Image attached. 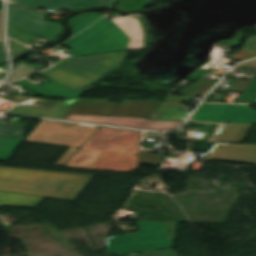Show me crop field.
I'll use <instances>...</instances> for the list:
<instances>
[{
  "mask_svg": "<svg viewBox=\"0 0 256 256\" xmlns=\"http://www.w3.org/2000/svg\"><path fill=\"white\" fill-rule=\"evenodd\" d=\"M102 15H104V13L94 12V13H86V14L77 15V16L69 19L67 22H68L70 29L72 30L71 36H74L81 30H83L84 28L88 27L90 24H92L94 21H96Z\"/></svg>",
  "mask_w": 256,
  "mask_h": 256,
  "instance_id": "d9b57169",
  "label": "crop field"
},
{
  "mask_svg": "<svg viewBox=\"0 0 256 256\" xmlns=\"http://www.w3.org/2000/svg\"><path fill=\"white\" fill-rule=\"evenodd\" d=\"M252 125L222 124L213 142L241 143Z\"/></svg>",
  "mask_w": 256,
  "mask_h": 256,
  "instance_id": "22f410ed",
  "label": "crop field"
},
{
  "mask_svg": "<svg viewBox=\"0 0 256 256\" xmlns=\"http://www.w3.org/2000/svg\"><path fill=\"white\" fill-rule=\"evenodd\" d=\"M92 175L0 167V191L75 201Z\"/></svg>",
  "mask_w": 256,
  "mask_h": 256,
  "instance_id": "8a807250",
  "label": "crop field"
},
{
  "mask_svg": "<svg viewBox=\"0 0 256 256\" xmlns=\"http://www.w3.org/2000/svg\"><path fill=\"white\" fill-rule=\"evenodd\" d=\"M43 198L0 192V206L35 208Z\"/></svg>",
  "mask_w": 256,
  "mask_h": 256,
  "instance_id": "5142ce71",
  "label": "crop field"
},
{
  "mask_svg": "<svg viewBox=\"0 0 256 256\" xmlns=\"http://www.w3.org/2000/svg\"><path fill=\"white\" fill-rule=\"evenodd\" d=\"M238 68L254 69L256 70V60L237 66Z\"/></svg>",
  "mask_w": 256,
  "mask_h": 256,
  "instance_id": "a9b5d70f",
  "label": "crop field"
},
{
  "mask_svg": "<svg viewBox=\"0 0 256 256\" xmlns=\"http://www.w3.org/2000/svg\"><path fill=\"white\" fill-rule=\"evenodd\" d=\"M142 132L99 127L65 166L93 169L103 150L135 153Z\"/></svg>",
  "mask_w": 256,
  "mask_h": 256,
  "instance_id": "412701ff",
  "label": "crop field"
},
{
  "mask_svg": "<svg viewBox=\"0 0 256 256\" xmlns=\"http://www.w3.org/2000/svg\"><path fill=\"white\" fill-rule=\"evenodd\" d=\"M141 235L125 238H111L106 253L119 255L169 248L167 230L164 223L138 221Z\"/></svg>",
  "mask_w": 256,
  "mask_h": 256,
  "instance_id": "f4fd0767",
  "label": "crop field"
},
{
  "mask_svg": "<svg viewBox=\"0 0 256 256\" xmlns=\"http://www.w3.org/2000/svg\"><path fill=\"white\" fill-rule=\"evenodd\" d=\"M120 256H176V254L171 249H167V250L143 252V253H136V254L120 255Z\"/></svg>",
  "mask_w": 256,
  "mask_h": 256,
  "instance_id": "92a150f3",
  "label": "crop field"
},
{
  "mask_svg": "<svg viewBox=\"0 0 256 256\" xmlns=\"http://www.w3.org/2000/svg\"><path fill=\"white\" fill-rule=\"evenodd\" d=\"M128 52L69 58L41 74L75 91L116 70Z\"/></svg>",
  "mask_w": 256,
  "mask_h": 256,
  "instance_id": "34b2d1b8",
  "label": "crop field"
},
{
  "mask_svg": "<svg viewBox=\"0 0 256 256\" xmlns=\"http://www.w3.org/2000/svg\"><path fill=\"white\" fill-rule=\"evenodd\" d=\"M175 224L176 223H166V226L170 229V232H172V234H171L172 237H174V234H175V227H173V225H175ZM167 245L171 248L172 241H171V243H169Z\"/></svg>",
  "mask_w": 256,
  "mask_h": 256,
  "instance_id": "730fd06b",
  "label": "crop field"
},
{
  "mask_svg": "<svg viewBox=\"0 0 256 256\" xmlns=\"http://www.w3.org/2000/svg\"><path fill=\"white\" fill-rule=\"evenodd\" d=\"M138 160L139 155L103 151L94 169L131 173Z\"/></svg>",
  "mask_w": 256,
  "mask_h": 256,
  "instance_id": "28ad6ade",
  "label": "crop field"
},
{
  "mask_svg": "<svg viewBox=\"0 0 256 256\" xmlns=\"http://www.w3.org/2000/svg\"><path fill=\"white\" fill-rule=\"evenodd\" d=\"M205 159L256 164V145L215 143Z\"/></svg>",
  "mask_w": 256,
  "mask_h": 256,
  "instance_id": "3316defc",
  "label": "crop field"
},
{
  "mask_svg": "<svg viewBox=\"0 0 256 256\" xmlns=\"http://www.w3.org/2000/svg\"><path fill=\"white\" fill-rule=\"evenodd\" d=\"M30 8H88L107 6L113 0H11Z\"/></svg>",
  "mask_w": 256,
  "mask_h": 256,
  "instance_id": "d1516ede",
  "label": "crop field"
},
{
  "mask_svg": "<svg viewBox=\"0 0 256 256\" xmlns=\"http://www.w3.org/2000/svg\"><path fill=\"white\" fill-rule=\"evenodd\" d=\"M193 98L189 97H168L166 100H171V101H179V102H189Z\"/></svg>",
  "mask_w": 256,
  "mask_h": 256,
  "instance_id": "4177f3b9",
  "label": "crop field"
},
{
  "mask_svg": "<svg viewBox=\"0 0 256 256\" xmlns=\"http://www.w3.org/2000/svg\"><path fill=\"white\" fill-rule=\"evenodd\" d=\"M8 32H9V36L13 37L25 44L29 43L32 40L38 39L39 37L23 30L17 27H14L10 24H8Z\"/></svg>",
  "mask_w": 256,
  "mask_h": 256,
  "instance_id": "4a817a6b",
  "label": "crop field"
},
{
  "mask_svg": "<svg viewBox=\"0 0 256 256\" xmlns=\"http://www.w3.org/2000/svg\"><path fill=\"white\" fill-rule=\"evenodd\" d=\"M238 102L256 103V74L244 90Z\"/></svg>",
  "mask_w": 256,
  "mask_h": 256,
  "instance_id": "bc2a9ffb",
  "label": "crop field"
},
{
  "mask_svg": "<svg viewBox=\"0 0 256 256\" xmlns=\"http://www.w3.org/2000/svg\"><path fill=\"white\" fill-rule=\"evenodd\" d=\"M191 120L256 124V111L248 105L200 104Z\"/></svg>",
  "mask_w": 256,
  "mask_h": 256,
  "instance_id": "e52e79f7",
  "label": "crop field"
},
{
  "mask_svg": "<svg viewBox=\"0 0 256 256\" xmlns=\"http://www.w3.org/2000/svg\"><path fill=\"white\" fill-rule=\"evenodd\" d=\"M47 15V13L23 9L9 3V22L54 41L62 34L63 27L43 20Z\"/></svg>",
  "mask_w": 256,
  "mask_h": 256,
  "instance_id": "d8731c3e",
  "label": "crop field"
},
{
  "mask_svg": "<svg viewBox=\"0 0 256 256\" xmlns=\"http://www.w3.org/2000/svg\"><path fill=\"white\" fill-rule=\"evenodd\" d=\"M185 106L178 102H164L156 109L149 119L184 121L189 112L180 111L179 108Z\"/></svg>",
  "mask_w": 256,
  "mask_h": 256,
  "instance_id": "cbeb9de0",
  "label": "crop field"
},
{
  "mask_svg": "<svg viewBox=\"0 0 256 256\" xmlns=\"http://www.w3.org/2000/svg\"><path fill=\"white\" fill-rule=\"evenodd\" d=\"M4 61H6V59H5L3 44L2 42H0V62H4Z\"/></svg>",
  "mask_w": 256,
  "mask_h": 256,
  "instance_id": "eef30255",
  "label": "crop field"
},
{
  "mask_svg": "<svg viewBox=\"0 0 256 256\" xmlns=\"http://www.w3.org/2000/svg\"><path fill=\"white\" fill-rule=\"evenodd\" d=\"M0 41H2V37H1V10H0Z\"/></svg>",
  "mask_w": 256,
  "mask_h": 256,
  "instance_id": "d3111659",
  "label": "crop field"
},
{
  "mask_svg": "<svg viewBox=\"0 0 256 256\" xmlns=\"http://www.w3.org/2000/svg\"><path fill=\"white\" fill-rule=\"evenodd\" d=\"M150 152L155 153V151H143L138 164L160 166L163 162V156L149 154Z\"/></svg>",
  "mask_w": 256,
  "mask_h": 256,
  "instance_id": "214f88e0",
  "label": "crop field"
},
{
  "mask_svg": "<svg viewBox=\"0 0 256 256\" xmlns=\"http://www.w3.org/2000/svg\"><path fill=\"white\" fill-rule=\"evenodd\" d=\"M140 234L139 232H136V233H132V234H129V235H125V237H128V236H133V235H138Z\"/></svg>",
  "mask_w": 256,
  "mask_h": 256,
  "instance_id": "750c4746",
  "label": "crop field"
},
{
  "mask_svg": "<svg viewBox=\"0 0 256 256\" xmlns=\"http://www.w3.org/2000/svg\"><path fill=\"white\" fill-rule=\"evenodd\" d=\"M10 44H11V49H13V51H11L12 57H15V56L29 50V49L25 48L24 46L17 44L13 41H10Z\"/></svg>",
  "mask_w": 256,
  "mask_h": 256,
  "instance_id": "00972430",
  "label": "crop field"
},
{
  "mask_svg": "<svg viewBox=\"0 0 256 256\" xmlns=\"http://www.w3.org/2000/svg\"><path fill=\"white\" fill-rule=\"evenodd\" d=\"M23 139L0 137V160L8 161Z\"/></svg>",
  "mask_w": 256,
  "mask_h": 256,
  "instance_id": "733c2abd",
  "label": "crop field"
},
{
  "mask_svg": "<svg viewBox=\"0 0 256 256\" xmlns=\"http://www.w3.org/2000/svg\"><path fill=\"white\" fill-rule=\"evenodd\" d=\"M75 116H76V115H74V114H70L66 119L72 120Z\"/></svg>",
  "mask_w": 256,
  "mask_h": 256,
  "instance_id": "ae1a2a85",
  "label": "crop field"
},
{
  "mask_svg": "<svg viewBox=\"0 0 256 256\" xmlns=\"http://www.w3.org/2000/svg\"><path fill=\"white\" fill-rule=\"evenodd\" d=\"M110 100L78 98L66 113L116 115L149 118L161 102L124 100L120 106Z\"/></svg>",
  "mask_w": 256,
  "mask_h": 256,
  "instance_id": "dd49c442",
  "label": "crop field"
},
{
  "mask_svg": "<svg viewBox=\"0 0 256 256\" xmlns=\"http://www.w3.org/2000/svg\"><path fill=\"white\" fill-rule=\"evenodd\" d=\"M253 56H256V52L241 49L231 57L236 58V59H240V60H244V59H247V58H250V57H253Z\"/></svg>",
  "mask_w": 256,
  "mask_h": 256,
  "instance_id": "dafd665d",
  "label": "crop field"
},
{
  "mask_svg": "<svg viewBox=\"0 0 256 256\" xmlns=\"http://www.w3.org/2000/svg\"><path fill=\"white\" fill-rule=\"evenodd\" d=\"M73 120L113 124L120 126L136 127L151 130H167L180 125L182 122L147 120L142 118L116 117V116H97V115H77Z\"/></svg>",
  "mask_w": 256,
  "mask_h": 256,
  "instance_id": "5a996713",
  "label": "crop field"
},
{
  "mask_svg": "<svg viewBox=\"0 0 256 256\" xmlns=\"http://www.w3.org/2000/svg\"><path fill=\"white\" fill-rule=\"evenodd\" d=\"M72 56L143 48V32L137 18H102L62 44Z\"/></svg>",
  "mask_w": 256,
  "mask_h": 256,
  "instance_id": "ac0d7876",
  "label": "crop field"
}]
</instances>
